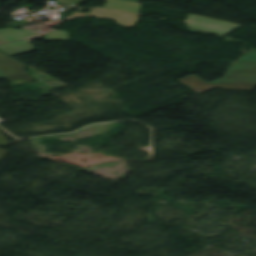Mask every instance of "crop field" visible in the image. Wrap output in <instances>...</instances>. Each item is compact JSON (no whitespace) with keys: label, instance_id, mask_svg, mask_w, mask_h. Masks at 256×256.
<instances>
[{"label":"crop field","instance_id":"crop-field-1","mask_svg":"<svg viewBox=\"0 0 256 256\" xmlns=\"http://www.w3.org/2000/svg\"><path fill=\"white\" fill-rule=\"evenodd\" d=\"M178 81L198 94L215 87L253 91L256 86V49H252L231 65L222 79L206 83L192 75Z\"/></svg>","mask_w":256,"mask_h":256},{"label":"crop field","instance_id":"crop-field-2","mask_svg":"<svg viewBox=\"0 0 256 256\" xmlns=\"http://www.w3.org/2000/svg\"><path fill=\"white\" fill-rule=\"evenodd\" d=\"M25 66L0 52V78H4L11 84L34 81L33 77L25 72Z\"/></svg>","mask_w":256,"mask_h":256},{"label":"crop field","instance_id":"crop-field-3","mask_svg":"<svg viewBox=\"0 0 256 256\" xmlns=\"http://www.w3.org/2000/svg\"><path fill=\"white\" fill-rule=\"evenodd\" d=\"M60 23H62V20H55L54 22H52V26H54V27H58V25L60 24Z\"/></svg>","mask_w":256,"mask_h":256},{"label":"crop field","instance_id":"crop-field-4","mask_svg":"<svg viewBox=\"0 0 256 256\" xmlns=\"http://www.w3.org/2000/svg\"><path fill=\"white\" fill-rule=\"evenodd\" d=\"M7 152L0 149V160L4 157Z\"/></svg>","mask_w":256,"mask_h":256},{"label":"crop field","instance_id":"crop-field-5","mask_svg":"<svg viewBox=\"0 0 256 256\" xmlns=\"http://www.w3.org/2000/svg\"><path fill=\"white\" fill-rule=\"evenodd\" d=\"M64 3H68V4H70L71 6H74V5H79V4H76V3H74V2H71V1H68V2H64Z\"/></svg>","mask_w":256,"mask_h":256},{"label":"crop field","instance_id":"crop-field-6","mask_svg":"<svg viewBox=\"0 0 256 256\" xmlns=\"http://www.w3.org/2000/svg\"><path fill=\"white\" fill-rule=\"evenodd\" d=\"M127 1H134V2H139V0H127Z\"/></svg>","mask_w":256,"mask_h":256}]
</instances>
